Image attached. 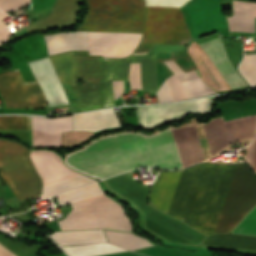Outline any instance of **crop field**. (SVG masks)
Segmentation results:
<instances>
[{"instance_id":"a9b5d70f","label":"crop field","mask_w":256,"mask_h":256,"mask_svg":"<svg viewBox=\"0 0 256 256\" xmlns=\"http://www.w3.org/2000/svg\"><path fill=\"white\" fill-rule=\"evenodd\" d=\"M63 249L69 256H94L118 251H124L121 248H118L109 243H98L91 245H81V246H72V247H60Z\"/></svg>"},{"instance_id":"3316defc","label":"crop field","mask_w":256,"mask_h":256,"mask_svg":"<svg viewBox=\"0 0 256 256\" xmlns=\"http://www.w3.org/2000/svg\"><path fill=\"white\" fill-rule=\"evenodd\" d=\"M132 62H140L143 92H155L158 88L155 54L122 59L104 58L101 74L103 107L114 106L111 81L128 80L129 66Z\"/></svg>"},{"instance_id":"412701ff","label":"crop field","mask_w":256,"mask_h":256,"mask_svg":"<svg viewBox=\"0 0 256 256\" xmlns=\"http://www.w3.org/2000/svg\"><path fill=\"white\" fill-rule=\"evenodd\" d=\"M202 126L211 154H214L238 139L253 137L256 126V115L240 117L226 122L220 117ZM172 133L183 167L205 160L194 126L173 129Z\"/></svg>"},{"instance_id":"d32e631a","label":"crop field","mask_w":256,"mask_h":256,"mask_svg":"<svg viewBox=\"0 0 256 256\" xmlns=\"http://www.w3.org/2000/svg\"><path fill=\"white\" fill-rule=\"evenodd\" d=\"M7 16L9 15L0 10V20ZM12 35L10 29L0 22V44Z\"/></svg>"},{"instance_id":"bc2a9ffb","label":"crop field","mask_w":256,"mask_h":256,"mask_svg":"<svg viewBox=\"0 0 256 256\" xmlns=\"http://www.w3.org/2000/svg\"><path fill=\"white\" fill-rule=\"evenodd\" d=\"M187 52L192 57L208 85L217 91L230 89V87L227 85L219 72L216 70L211 61L195 41L189 45Z\"/></svg>"},{"instance_id":"00972430","label":"crop field","mask_w":256,"mask_h":256,"mask_svg":"<svg viewBox=\"0 0 256 256\" xmlns=\"http://www.w3.org/2000/svg\"><path fill=\"white\" fill-rule=\"evenodd\" d=\"M105 232L109 242L128 250L152 246V244L147 239L137 236L135 233H119L109 231Z\"/></svg>"},{"instance_id":"d1516ede","label":"crop field","mask_w":256,"mask_h":256,"mask_svg":"<svg viewBox=\"0 0 256 256\" xmlns=\"http://www.w3.org/2000/svg\"><path fill=\"white\" fill-rule=\"evenodd\" d=\"M212 98L199 99L174 105L137 107L138 126L151 127L169 119H178L180 115L189 112H208L209 102Z\"/></svg>"},{"instance_id":"733c2abd","label":"crop field","mask_w":256,"mask_h":256,"mask_svg":"<svg viewBox=\"0 0 256 256\" xmlns=\"http://www.w3.org/2000/svg\"><path fill=\"white\" fill-rule=\"evenodd\" d=\"M181 170L159 172L156 180L152 183L150 206L168 213Z\"/></svg>"},{"instance_id":"28ad6ade","label":"crop field","mask_w":256,"mask_h":256,"mask_svg":"<svg viewBox=\"0 0 256 256\" xmlns=\"http://www.w3.org/2000/svg\"><path fill=\"white\" fill-rule=\"evenodd\" d=\"M0 94L7 108L46 106L36 82H24L18 68L0 73Z\"/></svg>"},{"instance_id":"34b2d1b8","label":"crop field","mask_w":256,"mask_h":256,"mask_svg":"<svg viewBox=\"0 0 256 256\" xmlns=\"http://www.w3.org/2000/svg\"><path fill=\"white\" fill-rule=\"evenodd\" d=\"M89 8L77 30L141 32L145 19L143 0H87ZM141 33L88 32L89 55L125 57Z\"/></svg>"},{"instance_id":"8a807250","label":"crop field","mask_w":256,"mask_h":256,"mask_svg":"<svg viewBox=\"0 0 256 256\" xmlns=\"http://www.w3.org/2000/svg\"><path fill=\"white\" fill-rule=\"evenodd\" d=\"M256 205V175L245 163L185 168L169 213L209 235L227 233Z\"/></svg>"},{"instance_id":"ac0d7876","label":"crop field","mask_w":256,"mask_h":256,"mask_svg":"<svg viewBox=\"0 0 256 256\" xmlns=\"http://www.w3.org/2000/svg\"><path fill=\"white\" fill-rule=\"evenodd\" d=\"M64 161L96 179L137 166L182 168L170 127L149 136L135 131L103 136L69 153Z\"/></svg>"},{"instance_id":"d3111659","label":"crop field","mask_w":256,"mask_h":256,"mask_svg":"<svg viewBox=\"0 0 256 256\" xmlns=\"http://www.w3.org/2000/svg\"><path fill=\"white\" fill-rule=\"evenodd\" d=\"M0 129H30L29 116H0Z\"/></svg>"},{"instance_id":"730fd06b","label":"crop field","mask_w":256,"mask_h":256,"mask_svg":"<svg viewBox=\"0 0 256 256\" xmlns=\"http://www.w3.org/2000/svg\"><path fill=\"white\" fill-rule=\"evenodd\" d=\"M99 194H103V191L101 190L98 183H96V184L78 189L76 191L58 196L57 202H58L59 206H61V205H65V204H68L71 202H75L78 200L96 196Z\"/></svg>"},{"instance_id":"dafd665d","label":"crop field","mask_w":256,"mask_h":256,"mask_svg":"<svg viewBox=\"0 0 256 256\" xmlns=\"http://www.w3.org/2000/svg\"><path fill=\"white\" fill-rule=\"evenodd\" d=\"M50 236L60 245L106 241L102 230L53 232Z\"/></svg>"},{"instance_id":"d9b57169","label":"crop field","mask_w":256,"mask_h":256,"mask_svg":"<svg viewBox=\"0 0 256 256\" xmlns=\"http://www.w3.org/2000/svg\"><path fill=\"white\" fill-rule=\"evenodd\" d=\"M199 45L232 89L246 86L231 66L220 37Z\"/></svg>"},{"instance_id":"dd49c442","label":"crop field","mask_w":256,"mask_h":256,"mask_svg":"<svg viewBox=\"0 0 256 256\" xmlns=\"http://www.w3.org/2000/svg\"><path fill=\"white\" fill-rule=\"evenodd\" d=\"M146 5L180 7L188 0H144ZM146 6L141 42L134 54L148 53L154 43L184 44L192 40L179 8Z\"/></svg>"},{"instance_id":"214f88e0","label":"crop field","mask_w":256,"mask_h":256,"mask_svg":"<svg viewBox=\"0 0 256 256\" xmlns=\"http://www.w3.org/2000/svg\"><path fill=\"white\" fill-rule=\"evenodd\" d=\"M49 55L69 50H88L87 32H70L44 36Z\"/></svg>"},{"instance_id":"750c4746","label":"crop field","mask_w":256,"mask_h":256,"mask_svg":"<svg viewBox=\"0 0 256 256\" xmlns=\"http://www.w3.org/2000/svg\"><path fill=\"white\" fill-rule=\"evenodd\" d=\"M231 233L256 235V206L244 217Z\"/></svg>"},{"instance_id":"4177f3b9","label":"crop field","mask_w":256,"mask_h":256,"mask_svg":"<svg viewBox=\"0 0 256 256\" xmlns=\"http://www.w3.org/2000/svg\"><path fill=\"white\" fill-rule=\"evenodd\" d=\"M96 180L89 178L83 174L62 180L60 182L44 187V198L85 185Z\"/></svg>"},{"instance_id":"bd1437ed","label":"crop field","mask_w":256,"mask_h":256,"mask_svg":"<svg viewBox=\"0 0 256 256\" xmlns=\"http://www.w3.org/2000/svg\"><path fill=\"white\" fill-rule=\"evenodd\" d=\"M92 134L93 132H89V131L65 132L62 135L61 146L77 145L85 141L90 136H92Z\"/></svg>"},{"instance_id":"cbeb9de0","label":"crop field","mask_w":256,"mask_h":256,"mask_svg":"<svg viewBox=\"0 0 256 256\" xmlns=\"http://www.w3.org/2000/svg\"><path fill=\"white\" fill-rule=\"evenodd\" d=\"M29 65L45 95L48 106L68 104L49 58L29 62Z\"/></svg>"},{"instance_id":"22f410ed","label":"crop field","mask_w":256,"mask_h":256,"mask_svg":"<svg viewBox=\"0 0 256 256\" xmlns=\"http://www.w3.org/2000/svg\"><path fill=\"white\" fill-rule=\"evenodd\" d=\"M64 131H72L71 116L56 118L31 116L32 146H60Z\"/></svg>"},{"instance_id":"d8731c3e","label":"crop field","mask_w":256,"mask_h":256,"mask_svg":"<svg viewBox=\"0 0 256 256\" xmlns=\"http://www.w3.org/2000/svg\"><path fill=\"white\" fill-rule=\"evenodd\" d=\"M71 207L66 218L58 221L61 230L109 228L131 232L130 220L121 206L104 195L72 203Z\"/></svg>"},{"instance_id":"ae1a2a85","label":"crop field","mask_w":256,"mask_h":256,"mask_svg":"<svg viewBox=\"0 0 256 256\" xmlns=\"http://www.w3.org/2000/svg\"><path fill=\"white\" fill-rule=\"evenodd\" d=\"M239 70L252 86H256V54L244 55Z\"/></svg>"},{"instance_id":"eef30255","label":"crop field","mask_w":256,"mask_h":256,"mask_svg":"<svg viewBox=\"0 0 256 256\" xmlns=\"http://www.w3.org/2000/svg\"><path fill=\"white\" fill-rule=\"evenodd\" d=\"M181 84L188 98L215 93V91L206 86L201 77L198 79L182 82Z\"/></svg>"},{"instance_id":"1d83c4d3","label":"crop field","mask_w":256,"mask_h":256,"mask_svg":"<svg viewBox=\"0 0 256 256\" xmlns=\"http://www.w3.org/2000/svg\"><path fill=\"white\" fill-rule=\"evenodd\" d=\"M156 96L159 100V103L173 101L166 80L156 92Z\"/></svg>"},{"instance_id":"120bbe31","label":"crop field","mask_w":256,"mask_h":256,"mask_svg":"<svg viewBox=\"0 0 256 256\" xmlns=\"http://www.w3.org/2000/svg\"><path fill=\"white\" fill-rule=\"evenodd\" d=\"M246 158L250 166L256 172V138L250 145H248Z\"/></svg>"},{"instance_id":"5866460e","label":"crop field","mask_w":256,"mask_h":256,"mask_svg":"<svg viewBox=\"0 0 256 256\" xmlns=\"http://www.w3.org/2000/svg\"><path fill=\"white\" fill-rule=\"evenodd\" d=\"M0 256H15V255L0 245Z\"/></svg>"},{"instance_id":"f4fd0767","label":"crop field","mask_w":256,"mask_h":256,"mask_svg":"<svg viewBox=\"0 0 256 256\" xmlns=\"http://www.w3.org/2000/svg\"><path fill=\"white\" fill-rule=\"evenodd\" d=\"M61 83L70 84L76 107L101 108L99 74L102 56L74 55L72 52L49 57ZM78 77L83 83L76 85Z\"/></svg>"},{"instance_id":"5a996713","label":"crop field","mask_w":256,"mask_h":256,"mask_svg":"<svg viewBox=\"0 0 256 256\" xmlns=\"http://www.w3.org/2000/svg\"><path fill=\"white\" fill-rule=\"evenodd\" d=\"M27 152L17 143L0 140V176L19 202L41 195V180Z\"/></svg>"},{"instance_id":"4a817a6b","label":"crop field","mask_w":256,"mask_h":256,"mask_svg":"<svg viewBox=\"0 0 256 256\" xmlns=\"http://www.w3.org/2000/svg\"><path fill=\"white\" fill-rule=\"evenodd\" d=\"M73 131L120 126L113 109L72 115Z\"/></svg>"},{"instance_id":"e52e79f7","label":"crop field","mask_w":256,"mask_h":256,"mask_svg":"<svg viewBox=\"0 0 256 256\" xmlns=\"http://www.w3.org/2000/svg\"><path fill=\"white\" fill-rule=\"evenodd\" d=\"M106 182L110 188L134 201L145 213L147 226L172 243L200 245L207 235L146 205L149 191L118 175ZM113 190V191H114Z\"/></svg>"},{"instance_id":"92a150f3","label":"crop field","mask_w":256,"mask_h":256,"mask_svg":"<svg viewBox=\"0 0 256 256\" xmlns=\"http://www.w3.org/2000/svg\"><path fill=\"white\" fill-rule=\"evenodd\" d=\"M254 10L255 3L233 0V16L227 18L230 30L254 32Z\"/></svg>"},{"instance_id":"5142ce71","label":"crop field","mask_w":256,"mask_h":256,"mask_svg":"<svg viewBox=\"0 0 256 256\" xmlns=\"http://www.w3.org/2000/svg\"><path fill=\"white\" fill-rule=\"evenodd\" d=\"M34 167L43 180V186L80 174L67 168L53 151L36 150L29 153Z\"/></svg>"}]
</instances>
